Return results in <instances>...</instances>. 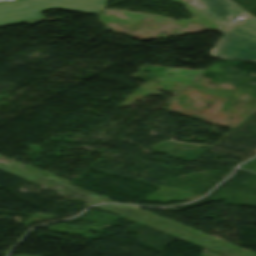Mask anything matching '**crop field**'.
<instances>
[{
    "instance_id": "crop-field-2",
    "label": "crop field",
    "mask_w": 256,
    "mask_h": 256,
    "mask_svg": "<svg viewBox=\"0 0 256 256\" xmlns=\"http://www.w3.org/2000/svg\"><path fill=\"white\" fill-rule=\"evenodd\" d=\"M110 0H6L0 1V25L43 17L48 8L97 14Z\"/></svg>"
},
{
    "instance_id": "crop-field-1",
    "label": "crop field",
    "mask_w": 256,
    "mask_h": 256,
    "mask_svg": "<svg viewBox=\"0 0 256 256\" xmlns=\"http://www.w3.org/2000/svg\"><path fill=\"white\" fill-rule=\"evenodd\" d=\"M194 1L196 7L221 25L218 31L224 34L211 50L212 57L256 61V18L231 0ZM234 16L242 21H232Z\"/></svg>"
}]
</instances>
